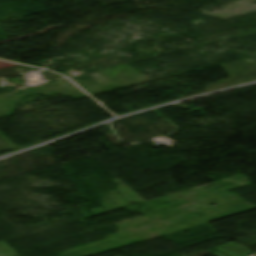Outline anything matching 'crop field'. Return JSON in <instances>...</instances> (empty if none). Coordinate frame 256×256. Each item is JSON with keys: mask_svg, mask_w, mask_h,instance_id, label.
<instances>
[{"mask_svg": "<svg viewBox=\"0 0 256 256\" xmlns=\"http://www.w3.org/2000/svg\"><path fill=\"white\" fill-rule=\"evenodd\" d=\"M214 250H216L217 252H219L220 254H222L223 256H246L249 254H252L251 252H249L248 250H246L245 248L241 247L240 245H238L237 243L231 241L229 243L223 244L221 246H218L216 248H213ZM210 253H212L213 251L210 249L208 250ZM214 256H221L219 254H217L215 252L212 253Z\"/></svg>", "mask_w": 256, "mask_h": 256, "instance_id": "8a807250", "label": "crop field"}]
</instances>
